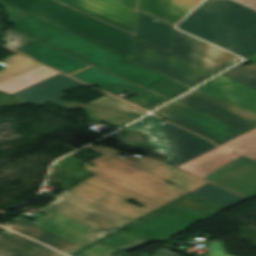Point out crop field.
Returning <instances> with one entry per match:
<instances>
[{"label":"crop field","mask_w":256,"mask_h":256,"mask_svg":"<svg viewBox=\"0 0 256 256\" xmlns=\"http://www.w3.org/2000/svg\"><path fill=\"white\" fill-rule=\"evenodd\" d=\"M137 60L195 86L240 58L175 29L172 53L139 38Z\"/></svg>","instance_id":"obj_1"},{"label":"crop field","mask_w":256,"mask_h":256,"mask_svg":"<svg viewBox=\"0 0 256 256\" xmlns=\"http://www.w3.org/2000/svg\"><path fill=\"white\" fill-rule=\"evenodd\" d=\"M178 28L244 58L256 53V11L230 0H206Z\"/></svg>","instance_id":"obj_2"},{"label":"crop field","mask_w":256,"mask_h":256,"mask_svg":"<svg viewBox=\"0 0 256 256\" xmlns=\"http://www.w3.org/2000/svg\"><path fill=\"white\" fill-rule=\"evenodd\" d=\"M155 113L221 143L256 126V115L198 89Z\"/></svg>","instance_id":"obj_3"},{"label":"crop field","mask_w":256,"mask_h":256,"mask_svg":"<svg viewBox=\"0 0 256 256\" xmlns=\"http://www.w3.org/2000/svg\"><path fill=\"white\" fill-rule=\"evenodd\" d=\"M15 26L18 32L145 88L166 78L34 16L16 22Z\"/></svg>","instance_id":"obj_4"},{"label":"crop field","mask_w":256,"mask_h":256,"mask_svg":"<svg viewBox=\"0 0 256 256\" xmlns=\"http://www.w3.org/2000/svg\"><path fill=\"white\" fill-rule=\"evenodd\" d=\"M255 159L256 130H253L179 168L250 198L256 195Z\"/></svg>","instance_id":"obj_5"},{"label":"crop field","mask_w":256,"mask_h":256,"mask_svg":"<svg viewBox=\"0 0 256 256\" xmlns=\"http://www.w3.org/2000/svg\"><path fill=\"white\" fill-rule=\"evenodd\" d=\"M0 64L8 67L0 72V91L11 94L29 104L48 102L64 105L63 91L84 84L43 67L30 59L13 55Z\"/></svg>","instance_id":"obj_6"},{"label":"crop field","mask_w":256,"mask_h":256,"mask_svg":"<svg viewBox=\"0 0 256 256\" xmlns=\"http://www.w3.org/2000/svg\"><path fill=\"white\" fill-rule=\"evenodd\" d=\"M133 59L136 37L54 0H1Z\"/></svg>","instance_id":"obj_7"},{"label":"crop field","mask_w":256,"mask_h":256,"mask_svg":"<svg viewBox=\"0 0 256 256\" xmlns=\"http://www.w3.org/2000/svg\"><path fill=\"white\" fill-rule=\"evenodd\" d=\"M172 207L191 218L169 208ZM226 207L198 196L194 193L184 199L126 227L134 234L152 241L168 239L199 220H205Z\"/></svg>","instance_id":"obj_8"},{"label":"crop field","mask_w":256,"mask_h":256,"mask_svg":"<svg viewBox=\"0 0 256 256\" xmlns=\"http://www.w3.org/2000/svg\"><path fill=\"white\" fill-rule=\"evenodd\" d=\"M54 198L58 200L48 207L107 235L131 224V222L67 192Z\"/></svg>","instance_id":"obj_9"},{"label":"crop field","mask_w":256,"mask_h":256,"mask_svg":"<svg viewBox=\"0 0 256 256\" xmlns=\"http://www.w3.org/2000/svg\"><path fill=\"white\" fill-rule=\"evenodd\" d=\"M71 76L80 79L86 83L98 86L102 88L104 91L110 92L116 96H119L126 90L133 91L138 94L134 98L127 100L124 97H119L147 111L155 108L156 106L168 100L156 93H153L143 87L132 84L95 66H92Z\"/></svg>","instance_id":"obj_10"},{"label":"crop field","mask_w":256,"mask_h":256,"mask_svg":"<svg viewBox=\"0 0 256 256\" xmlns=\"http://www.w3.org/2000/svg\"><path fill=\"white\" fill-rule=\"evenodd\" d=\"M135 36L138 12L112 0H56Z\"/></svg>","instance_id":"obj_11"},{"label":"crop field","mask_w":256,"mask_h":256,"mask_svg":"<svg viewBox=\"0 0 256 256\" xmlns=\"http://www.w3.org/2000/svg\"><path fill=\"white\" fill-rule=\"evenodd\" d=\"M38 210L49 215L45 217L40 213L33 216L35 222L17 216L83 247L107 236L46 206Z\"/></svg>","instance_id":"obj_12"},{"label":"crop field","mask_w":256,"mask_h":256,"mask_svg":"<svg viewBox=\"0 0 256 256\" xmlns=\"http://www.w3.org/2000/svg\"><path fill=\"white\" fill-rule=\"evenodd\" d=\"M91 146L116 157L115 159L119 161H122L130 166H135L165 181H168L174 185H177L189 192L207 184V182L201 179H198L192 175H189L171 165L164 164L150 156L141 158L133 155L129 158H123L119 156L121 152L111 147L106 148L102 146H98V147L94 145H91Z\"/></svg>","instance_id":"obj_13"},{"label":"crop field","mask_w":256,"mask_h":256,"mask_svg":"<svg viewBox=\"0 0 256 256\" xmlns=\"http://www.w3.org/2000/svg\"><path fill=\"white\" fill-rule=\"evenodd\" d=\"M15 51L23 53L35 59L37 62L47 65L67 75L92 65H89L90 63L87 64L47 44L33 39L29 40Z\"/></svg>","instance_id":"obj_14"},{"label":"crop field","mask_w":256,"mask_h":256,"mask_svg":"<svg viewBox=\"0 0 256 256\" xmlns=\"http://www.w3.org/2000/svg\"><path fill=\"white\" fill-rule=\"evenodd\" d=\"M198 89L256 114V90L222 75L204 83Z\"/></svg>","instance_id":"obj_15"},{"label":"crop field","mask_w":256,"mask_h":256,"mask_svg":"<svg viewBox=\"0 0 256 256\" xmlns=\"http://www.w3.org/2000/svg\"><path fill=\"white\" fill-rule=\"evenodd\" d=\"M163 129L166 131L175 151L172 165L177 166L192 157H195L213 147L212 142L184 131L165 122Z\"/></svg>","instance_id":"obj_16"},{"label":"crop field","mask_w":256,"mask_h":256,"mask_svg":"<svg viewBox=\"0 0 256 256\" xmlns=\"http://www.w3.org/2000/svg\"><path fill=\"white\" fill-rule=\"evenodd\" d=\"M203 0H144L142 12L175 26Z\"/></svg>","instance_id":"obj_17"},{"label":"crop field","mask_w":256,"mask_h":256,"mask_svg":"<svg viewBox=\"0 0 256 256\" xmlns=\"http://www.w3.org/2000/svg\"><path fill=\"white\" fill-rule=\"evenodd\" d=\"M164 122L165 121L153 115H148L125 129L131 131L137 130L148 134L149 144L156 147V152L167 155L168 160L166 163L170 164L174 158V152L164 130L162 129Z\"/></svg>","instance_id":"obj_18"},{"label":"crop field","mask_w":256,"mask_h":256,"mask_svg":"<svg viewBox=\"0 0 256 256\" xmlns=\"http://www.w3.org/2000/svg\"><path fill=\"white\" fill-rule=\"evenodd\" d=\"M3 226L19 231L27 236L37 239L47 245H50L68 255L82 249L83 247L38 228L26 221L16 218Z\"/></svg>","instance_id":"obj_19"},{"label":"crop field","mask_w":256,"mask_h":256,"mask_svg":"<svg viewBox=\"0 0 256 256\" xmlns=\"http://www.w3.org/2000/svg\"><path fill=\"white\" fill-rule=\"evenodd\" d=\"M0 245L24 256H64L42 244L19 236L9 230L0 233Z\"/></svg>","instance_id":"obj_20"},{"label":"crop field","mask_w":256,"mask_h":256,"mask_svg":"<svg viewBox=\"0 0 256 256\" xmlns=\"http://www.w3.org/2000/svg\"><path fill=\"white\" fill-rule=\"evenodd\" d=\"M65 108L69 109H78L81 108L88 112L91 118L100 120L103 123L115 126L122 127L131 121L141 117L140 115L126 113L122 111H117L113 109H108L104 107L94 106L90 104L71 102L65 106Z\"/></svg>","instance_id":"obj_21"},{"label":"crop field","mask_w":256,"mask_h":256,"mask_svg":"<svg viewBox=\"0 0 256 256\" xmlns=\"http://www.w3.org/2000/svg\"><path fill=\"white\" fill-rule=\"evenodd\" d=\"M142 15L139 37L171 52L174 28Z\"/></svg>","instance_id":"obj_22"},{"label":"crop field","mask_w":256,"mask_h":256,"mask_svg":"<svg viewBox=\"0 0 256 256\" xmlns=\"http://www.w3.org/2000/svg\"><path fill=\"white\" fill-rule=\"evenodd\" d=\"M194 193L208 198L212 201H215L219 204H222L228 208L241 201L246 200V198L242 196L234 194L213 184H210Z\"/></svg>","instance_id":"obj_23"},{"label":"crop field","mask_w":256,"mask_h":256,"mask_svg":"<svg viewBox=\"0 0 256 256\" xmlns=\"http://www.w3.org/2000/svg\"><path fill=\"white\" fill-rule=\"evenodd\" d=\"M150 241L127 231H120L100 243L125 252Z\"/></svg>","instance_id":"obj_24"},{"label":"crop field","mask_w":256,"mask_h":256,"mask_svg":"<svg viewBox=\"0 0 256 256\" xmlns=\"http://www.w3.org/2000/svg\"><path fill=\"white\" fill-rule=\"evenodd\" d=\"M241 64L231 68L222 75L256 89V63L252 66H243Z\"/></svg>","instance_id":"obj_25"},{"label":"crop field","mask_w":256,"mask_h":256,"mask_svg":"<svg viewBox=\"0 0 256 256\" xmlns=\"http://www.w3.org/2000/svg\"><path fill=\"white\" fill-rule=\"evenodd\" d=\"M148 89L170 99L173 96L189 89V87H187L177 81L167 78V79L149 87Z\"/></svg>","instance_id":"obj_26"},{"label":"crop field","mask_w":256,"mask_h":256,"mask_svg":"<svg viewBox=\"0 0 256 256\" xmlns=\"http://www.w3.org/2000/svg\"><path fill=\"white\" fill-rule=\"evenodd\" d=\"M90 104L104 106V107L113 108V109H117V110L131 112V113H136V114H140V115L147 113V112H145L141 109H138L134 106H131L121 100H118L110 95H107L103 98L93 101Z\"/></svg>","instance_id":"obj_27"},{"label":"crop field","mask_w":256,"mask_h":256,"mask_svg":"<svg viewBox=\"0 0 256 256\" xmlns=\"http://www.w3.org/2000/svg\"><path fill=\"white\" fill-rule=\"evenodd\" d=\"M29 39L30 38H28L18 32L8 30L7 32H5L4 37L2 38V41L8 43L5 46L15 50L19 46H21L22 44L27 42Z\"/></svg>","instance_id":"obj_28"},{"label":"crop field","mask_w":256,"mask_h":256,"mask_svg":"<svg viewBox=\"0 0 256 256\" xmlns=\"http://www.w3.org/2000/svg\"><path fill=\"white\" fill-rule=\"evenodd\" d=\"M117 250L97 243L75 256H112L111 253Z\"/></svg>","instance_id":"obj_29"},{"label":"crop field","mask_w":256,"mask_h":256,"mask_svg":"<svg viewBox=\"0 0 256 256\" xmlns=\"http://www.w3.org/2000/svg\"><path fill=\"white\" fill-rule=\"evenodd\" d=\"M0 5H4L5 10H6L7 14H8L9 19H10V22H16L18 20H21V19L31 15V14H29L27 12H24V11H22L20 9H17V8H15L13 6H10V5L6 4V3H3L1 1H0Z\"/></svg>","instance_id":"obj_30"},{"label":"crop field","mask_w":256,"mask_h":256,"mask_svg":"<svg viewBox=\"0 0 256 256\" xmlns=\"http://www.w3.org/2000/svg\"><path fill=\"white\" fill-rule=\"evenodd\" d=\"M207 256H231L228 255L225 248L223 247L222 241H211L209 253Z\"/></svg>","instance_id":"obj_31"},{"label":"crop field","mask_w":256,"mask_h":256,"mask_svg":"<svg viewBox=\"0 0 256 256\" xmlns=\"http://www.w3.org/2000/svg\"><path fill=\"white\" fill-rule=\"evenodd\" d=\"M17 105H26V103L12 98L4 93L0 94V108L7 107V106H17Z\"/></svg>","instance_id":"obj_32"},{"label":"crop field","mask_w":256,"mask_h":256,"mask_svg":"<svg viewBox=\"0 0 256 256\" xmlns=\"http://www.w3.org/2000/svg\"><path fill=\"white\" fill-rule=\"evenodd\" d=\"M139 11L141 0H116Z\"/></svg>","instance_id":"obj_33"},{"label":"crop field","mask_w":256,"mask_h":256,"mask_svg":"<svg viewBox=\"0 0 256 256\" xmlns=\"http://www.w3.org/2000/svg\"><path fill=\"white\" fill-rule=\"evenodd\" d=\"M0 256H22L5 247L0 246Z\"/></svg>","instance_id":"obj_34"},{"label":"crop field","mask_w":256,"mask_h":256,"mask_svg":"<svg viewBox=\"0 0 256 256\" xmlns=\"http://www.w3.org/2000/svg\"><path fill=\"white\" fill-rule=\"evenodd\" d=\"M153 256H179V255L163 248L160 251H158L156 254H154Z\"/></svg>","instance_id":"obj_35"},{"label":"crop field","mask_w":256,"mask_h":256,"mask_svg":"<svg viewBox=\"0 0 256 256\" xmlns=\"http://www.w3.org/2000/svg\"><path fill=\"white\" fill-rule=\"evenodd\" d=\"M239 1H245V0H239ZM241 5L251 8L253 10H256V0H247L245 3Z\"/></svg>","instance_id":"obj_36"},{"label":"crop field","mask_w":256,"mask_h":256,"mask_svg":"<svg viewBox=\"0 0 256 256\" xmlns=\"http://www.w3.org/2000/svg\"><path fill=\"white\" fill-rule=\"evenodd\" d=\"M249 59H251V60H253V61H256V55L253 56V57H251V58H249Z\"/></svg>","instance_id":"obj_37"}]
</instances>
